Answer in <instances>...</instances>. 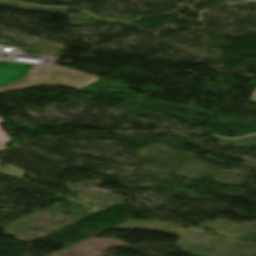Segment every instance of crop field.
Wrapping results in <instances>:
<instances>
[{
  "label": "crop field",
  "instance_id": "obj_2",
  "mask_svg": "<svg viewBox=\"0 0 256 256\" xmlns=\"http://www.w3.org/2000/svg\"><path fill=\"white\" fill-rule=\"evenodd\" d=\"M32 65L0 61V86L23 77Z\"/></svg>",
  "mask_w": 256,
  "mask_h": 256
},
{
  "label": "crop field",
  "instance_id": "obj_1",
  "mask_svg": "<svg viewBox=\"0 0 256 256\" xmlns=\"http://www.w3.org/2000/svg\"><path fill=\"white\" fill-rule=\"evenodd\" d=\"M99 79L101 78L57 66L47 69H32L24 79L0 88V94L15 89L41 85H56L79 89Z\"/></svg>",
  "mask_w": 256,
  "mask_h": 256
},
{
  "label": "crop field",
  "instance_id": "obj_3",
  "mask_svg": "<svg viewBox=\"0 0 256 256\" xmlns=\"http://www.w3.org/2000/svg\"><path fill=\"white\" fill-rule=\"evenodd\" d=\"M2 121L3 120L0 119V125H1ZM9 143H10V141H9L7 134L3 130L0 129V147L5 146Z\"/></svg>",
  "mask_w": 256,
  "mask_h": 256
},
{
  "label": "crop field",
  "instance_id": "obj_4",
  "mask_svg": "<svg viewBox=\"0 0 256 256\" xmlns=\"http://www.w3.org/2000/svg\"><path fill=\"white\" fill-rule=\"evenodd\" d=\"M249 102L256 103V89H255V91H254V93H253V95H252V97H251Z\"/></svg>",
  "mask_w": 256,
  "mask_h": 256
}]
</instances>
